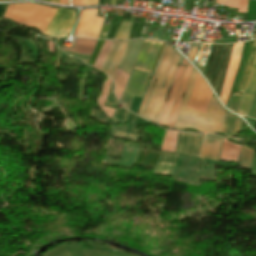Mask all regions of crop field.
Returning <instances> with one entry per match:
<instances>
[{
    "mask_svg": "<svg viewBox=\"0 0 256 256\" xmlns=\"http://www.w3.org/2000/svg\"><path fill=\"white\" fill-rule=\"evenodd\" d=\"M51 2L59 3V0H51Z\"/></svg>",
    "mask_w": 256,
    "mask_h": 256,
    "instance_id": "37",
    "label": "crop field"
},
{
    "mask_svg": "<svg viewBox=\"0 0 256 256\" xmlns=\"http://www.w3.org/2000/svg\"><path fill=\"white\" fill-rule=\"evenodd\" d=\"M139 146L124 144L119 167L131 168Z\"/></svg>",
    "mask_w": 256,
    "mask_h": 256,
    "instance_id": "15",
    "label": "crop field"
},
{
    "mask_svg": "<svg viewBox=\"0 0 256 256\" xmlns=\"http://www.w3.org/2000/svg\"><path fill=\"white\" fill-rule=\"evenodd\" d=\"M97 10H82L75 36L98 38L104 18L96 17Z\"/></svg>",
    "mask_w": 256,
    "mask_h": 256,
    "instance_id": "8",
    "label": "crop field"
},
{
    "mask_svg": "<svg viewBox=\"0 0 256 256\" xmlns=\"http://www.w3.org/2000/svg\"><path fill=\"white\" fill-rule=\"evenodd\" d=\"M238 0H231L229 6L237 7Z\"/></svg>",
    "mask_w": 256,
    "mask_h": 256,
    "instance_id": "33",
    "label": "crop field"
},
{
    "mask_svg": "<svg viewBox=\"0 0 256 256\" xmlns=\"http://www.w3.org/2000/svg\"><path fill=\"white\" fill-rule=\"evenodd\" d=\"M232 46L233 44L214 45L210 54L205 78L214 88L218 96H220Z\"/></svg>",
    "mask_w": 256,
    "mask_h": 256,
    "instance_id": "5",
    "label": "crop field"
},
{
    "mask_svg": "<svg viewBox=\"0 0 256 256\" xmlns=\"http://www.w3.org/2000/svg\"><path fill=\"white\" fill-rule=\"evenodd\" d=\"M239 121H240V118H236V122H235V127H234V134L236 135L237 133V130H238V125H239Z\"/></svg>",
    "mask_w": 256,
    "mask_h": 256,
    "instance_id": "31",
    "label": "crop field"
},
{
    "mask_svg": "<svg viewBox=\"0 0 256 256\" xmlns=\"http://www.w3.org/2000/svg\"><path fill=\"white\" fill-rule=\"evenodd\" d=\"M104 0H98V4H103Z\"/></svg>",
    "mask_w": 256,
    "mask_h": 256,
    "instance_id": "35",
    "label": "crop field"
},
{
    "mask_svg": "<svg viewBox=\"0 0 256 256\" xmlns=\"http://www.w3.org/2000/svg\"><path fill=\"white\" fill-rule=\"evenodd\" d=\"M246 148L243 146L241 150L239 167L251 168V158H252L253 150L250 151L251 149L248 150L249 148L248 149Z\"/></svg>",
    "mask_w": 256,
    "mask_h": 256,
    "instance_id": "19",
    "label": "crop field"
},
{
    "mask_svg": "<svg viewBox=\"0 0 256 256\" xmlns=\"http://www.w3.org/2000/svg\"><path fill=\"white\" fill-rule=\"evenodd\" d=\"M133 20L134 18L130 21L122 20L114 39H128Z\"/></svg>",
    "mask_w": 256,
    "mask_h": 256,
    "instance_id": "18",
    "label": "crop field"
},
{
    "mask_svg": "<svg viewBox=\"0 0 256 256\" xmlns=\"http://www.w3.org/2000/svg\"><path fill=\"white\" fill-rule=\"evenodd\" d=\"M150 76L151 75L149 74L133 70L131 76L129 77V81L125 88L123 96L120 100L125 108H127L128 110L130 109L134 96L141 98L143 97V93Z\"/></svg>",
    "mask_w": 256,
    "mask_h": 256,
    "instance_id": "7",
    "label": "crop field"
},
{
    "mask_svg": "<svg viewBox=\"0 0 256 256\" xmlns=\"http://www.w3.org/2000/svg\"><path fill=\"white\" fill-rule=\"evenodd\" d=\"M162 45L163 42L145 40L133 69L151 73Z\"/></svg>",
    "mask_w": 256,
    "mask_h": 256,
    "instance_id": "9",
    "label": "crop field"
},
{
    "mask_svg": "<svg viewBox=\"0 0 256 256\" xmlns=\"http://www.w3.org/2000/svg\"><path fill=\"white\" fill-rule=\"evenodd\" d=\"M248 0H240L238 12L246 13Z\"/></svg>",
    "mask_w": 256,
    "mask_h": 256,
    "instance_id": "24",
    "label": "crop field"
},
{
    "mask_svg": "<svg viewBox=\"0 0 256 256\" xmlns=\"http://www.w3.org/2000/svg\"><path fill=\"white\" fill-rule=\"evenodd\" d=\"M178 132L166 131L161 151L175 152Z\"/></svg>",
    "mask_w": 256,
    "mask_h": 256,
    "instance_id": "16",
    "label": "crop field"
},
{
    "mask_svg": "<svg viewBox=\"0 0 256 256\" xmlns=\"http://www.w3.org/2000/svg\"><path fill=\"white\" fill-rule=\"evenodd\" d=\"M247 116L256 118V91Z\"/></svg>",
    "mask_w": 256,
    "mask_h": 256,
    "instance_id": "23",
    "label": "crop field"
},
{
    "mask_svg": "<svg viewBox=\"0 0 256 256\" xmlns=\"http://www.w3.org/2000/svg\"><path fill=\"white\" fill-rule=\"evenodd\" d=\"M116 0H111V5L115 6Z\"/></svg>",
    "mask_w": 256,
    "mask_h": 256,
    "instance_id": "34",
    "label": "crop field"
},
{
    "mask_svg": "<svg viewBox=\"0 0 256 256\" xmlns=\"http://www.w3.org/2000/svg\"><path fill=\"white\" fill-rule=\"evenodd\" d=\"M202 136L179 132L176 154L162 152L153 173L172 177L179 154L199 157ZM222 139L204 134L200 157L218 161Z\"/></svg>",
    "mask_w": 256,
    "mask_h": 256,
    "instance_id": "2",
    "label": "crop field"
},
{
    "mask_svg": "<svg viewBox=\"0 0 256 256\" xmlns=\"http://www.w3.org/2000/svg\"><path fill=\"white\" fill-rule=\"evenodd\" d=\"M85 5H97V0H85Z\"/></svg>",
    "mask_w": 256,
    "mask_h": 256,
    "instance_id": "28",
    "label": "crop field"
},
{
    "mask_svg": "<svg viewBox=\"0 0 256 256\" xmlns=\"http://www.w3.org/2000/svg\"><path fill=\"white\" fill-rule=\"evenodd\" d=\"M196 74L197 72L193 68L187 91L181 104L178 118L173 128H192L197 131L206 130L210 131L212 134L214 132H221L225 110L214 97L212 98L207 114L186 108L187 101L196 78Z\"/></svg>",
    "mask_w": 256,
    "mask_h": 256,
    "instance_id": "3",
    "label": "crop field"
},
{
    "mask_svg": "<svg viewBox=\"0 0 256 256\" xmlns=\"http://www.w3.org/2000/svg\"><path fill=\"white\" fill-rule=\"evenodd\" d=\"M68 54L74 55L79 57L82 61L87 62L89 56L88 55H82V54H76V53H70V52H66Z\"/></svg>",
    "mask_w": 256,
    "mask_h": 256,
    "instance_id": "25",
    "label": "crop field"
},
{
    "mask_svg": "<svg viewBox=\"0 0 256 256\" xmlns=\"http://www.w3.org/2000/svg\"><path fill=\"white\" fill-rule=\"evenodd\" d=\"M74 20L75 13L73 10L58 9L54 19L44 32V35L50 37L69 35L73 28Z\"/></svg>",
    "mask_w": 256,
    "mask_h": 256,
    "instance_id": "6",
    "label": "crop field"
},
{
    "mask_svg": "<svg viewBox=\"0 0 256 256\" xmlns=\"http://www.w3.org/2000/svg\"><path fill=\"white\" fill-rule=\"evenodd\" d=\"M73 5H84V0H72Z\"/></svg>",
    "mask_w": 256,
    "mask_h": 256,
    "instance_id": "30",
    "label": "crop field"
},
{
    "mask_svg": "<svg viewBox=\"0 0 256 256\" xmlns=\"http://www.w3.org/2000/svg\"><path fill=\"white\" fill-rule=\"evenodd\" d=\"M234 119H235L234 115L228 112L226 113L224 129H223V133L225 134V136H229V137L232 136Z\"/></svg>",
    "mask_w": 256,
    "mask_h": 256,
    "instance_id": "20",
    "label": "crop field"
},
{
    "mask_svg": "<svg viewBox=\"0 0 256 256\" xmlns=\"http://www.w3.org/2000/svg\"><path fill=\"white\" fill-rule=\"evenodd\" d=\"M61 55H62V52H61L58 48H56V62H55V68L58 67V63H59V60H60V58H61Z\"/></svg>",
    "mask_w": 256,
    "mask_h": 256,
    "instance_id": "26",
    "label": "crop field"
},
{
    "mask_svg": "<svg viewBox=\"0 0 256 256\" xmlns=\"http://www.w3.org/2000/svg\"><path fill=\"white\" fill-rule=\"evenodd\" d=\"M255 89H256V57L243 92V97L237 112L238 114H241L244 116L247 115Z\"/></svg>",
    "mask_w": 256,
    "mask_h": 256,
    "instance_id": "12",
    "label": "crop field"
},
{
    "mask_svg": "<svg viewBox=\"0 0 256 256\" xmlns=\"http://www.w3.org/2000/svg\"><path fill=\"white\" fill-rule=\"evenodd\" d=\"M128 41H114L101 71L113 78Z\"/></svg>",
    "mask_w": 256,
    "mask_h": 256,
    "instance_id": "11",
    "label": "crop field"
},
{
    "mask_svg": "<svg viewBox=\"0 0 256 256\" xmlns=\"http://www.w3.org/2000/svg\"><path fill=\"white\" fill-rule=\"evenodd\" d=\"M105 3H109V0H105Z\"/></svg>",
    "mask_w": 256,
    "mask_h": 256,
    "instance_id": "38",
    "label": "crop field"
},
{
    "mask_svg": "<svg viewBox=\"0 0 256 256\" xmlns=\"http://www.w3.org/2000/svg\"><path fill=\"white\" fill-rule=\"evenodd\" d=\"M96 41L76 38L74 49L62 47V50L90 55Z\"/></svg>",
    "mask_w": 256,
    "mask_h": 256,
    "instance_id": "14",
    "label": "crop field"
},
{
    "mask_svg": "<svg viewBox=\"0 0 256 256\" xmlns=\"http://www.w3.org/2000/svg\"><path fill=\"white\" fill-rule=\"evenodd\" d=\"M240 96L241 94H237V93L232 94L231 101L228 107L230 110L237 112Z\"/></svg>",
    "mask_w": 256,
    "mask_h": 256,
    "instance_id": "22",
    "label": "crop field"
},
{
    "mask_svg": "<svg viewBox=\"0 0 256 256\" xmlns=\"http://www.w3.org/2000/svg\"><path fill=\"white\" fill-rule=\"evenodd\" d=\"M211 95V91L200 75L197 74L195 85L187 107L206 113Z\"/></svg>",
    "mask_w": 256,
    "mask_h": 256,
    "instance_id": "10",
    "label": "crop field"
},
{
    "mask_svg": "<svg viewBox=\"0 0 256 256\" xmlns=\"http://www.w3.org/2000/svg\"><path fill=\"white\" fill-rule=\"evenodd\" d=\"M204 162V159L180 155L179 166L177 165L173 175L174 181L199 186V179L215 180L217 173L215 168L206 167L202 174Z\"/></svg>",
    "mask_w": 256,
    "mask_h": 256,
    "instance_id": "4",
    "label": "crop field"
},
{
    "mask_svg": "<svg viewBox=\"0 0 256 256\" xmlns=\"http://www.w3.org/2000/svg\"><path fill=\"white\" fill-rule=\"evenodd\" d=\"M110 83H111V79L108 77L107 81L104 84L103 92H102V94H101V96L98 100V103L102 107V109L106 112V114L109 115L112 118L116 109L104 107L105 100H106L108 90H109V87H110Z\"/></svg>",
    "mask_w": 256,
    "mask_h": 256,
    "instance_id": "17",
    "label": "crop field"
},
{
    "mask_svg": "<svg viewBox=\"0 0 256 256\" xmlns=\"http://www.w3.org/2000/svg\"><path fill=\"white\" fill-rule=\"evenodd\" d=\"M228 1L229 0H217L216 3H218V4H225V6H227L228 5Z\"/></svg>",
    "mask_w": 256,
    "mask_h": 256,
    "instance_id": "32",
    "label": "crop field"
},
{
    "mask_svg": "<svg viewBox=\"0 0 256 256\" xmlns=\"http://www.w3.org/2000/svg\"><path fill=\"white\" fill-rule=\"evenodd\" d=\"M0 1H9V0H0ZM41 1H47V2H50V0H41Z\"/></svg>",
    "mask_w": 256,
    "mask_h": 256,
    "instance_id": "36",
    "label": "crop field"
},
{
    "mask_svg": "<svg viewBox=\"0 0 256 256\" xmlns=\"http://www.w3.org/2000/svg\"><path fill=\"white\" fill-rule=\"evenodd\" d=\"M255 54H256V41L254 42L253 50H252V53H251L249 62H248V64H247V67H246V70H245V73H244V76H243V80H242V84H241V87H240V91H239V92H242V91H243V88H244V85H245V83H246V80H247V77H248V74H249L251 65H252L253 60H254V57H255Z\"/></svg>",
    "mask_w": 256,
    "mask_h": 256,
    "instance_id": "21",
    "label": "crop field"
},
{
    "mask_svg": "<svg viewBox=\"0 0 256 256\" xmlns=\"http://www.w3.org/2000/svg\"><path fill=\"white\" fill-rule=\"evenodd\" d=\"M174 52L175 50L172 47H170L167 44H164V47L162 49V52L160 54V57L158 59V62L152 77V80L145 92V95L143 97L142 104L138 113L139 115L143 116L147 101L149 99V96L154 84V80L157 77L156 83L153 87L152 94L146 108V112L143 116L144 118L156 124L158 123L160 113L166 101V97L168 94V90H169L174 72L176 70L177 64L180 59V55L177 52H175V55H174ZM173 55H174V58H173ZM172 58H173V62H172L169 74L167 76L165 86L164 88H162L167 72L169 70Z\"/></svg>",
    "mask_w": 256,
    "mask_h": 256,
    "instance_id": "1",
    "label": "crop field"
},
{
    "mask_svg": "<svg viewBox=\"0 0 256 256\" xmlns=\"http://www.w3.org/2000/svg\"><path fill=\"white\" fill-rule=\"evenodd\" d=\"M142 41L143 40H132L128 42L125 55L119 65L120 69L130 74L131 68L135 62Z\"/></svg>",
    "mask_w": 256,
    "mask_h": 256,
    "instance_id": "13",
    "label": "crop field"
},
{
    "mask_svg": "<svg viewBox=\"0 0 256 256\" xmlns=\"http://www.w3.org/2000/svg\"><path fill=\"white\" fill-rule=\"evenodd\" d=\"M8 5H0V16L2 17Z\"/></svg>",
    "mask_w": 256,
    "mask_h": 256,
    "instance_id": "29",
    "label": "crop field"
},
{
    "mask_svg": "<svg viewBox=\"0 0 256 256\" xmlns=\"http://www.w3.org/2000/svg\"><path fill=\"white\" fill-rule=\"evenodd\" d=\"M197 47H193L189 59L193 62Z\"/></svg>",
    "mask_w": 256,
    "mask_h": 256,
    "instance_id": "27",
    "label": "crop field"
}]
</instances>
